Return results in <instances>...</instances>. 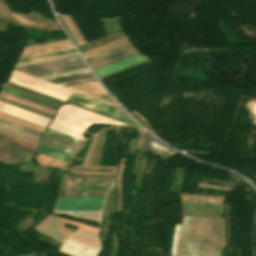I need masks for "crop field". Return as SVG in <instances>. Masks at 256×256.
Instances as JSON below:
<instances>
[{"label": "crop field", "instance_id": "18", "mask_svg": "<svg viewBox=\"0 0 256 256\" xmlns=\"http://www.w3.org/2000/svg\"><path fill=\"white\" fill-rule=\"evenodd\" d=\"M108 191H64V195L106 196Z\"/></svg>", "mask_w": 256, "mask_h": 256}, {"label": "crop field", "instance_id": "3", "mask_svg": "<svg viewBox=\"0 0 256 256\" xmlns=\"http://www.w3.org/2000/svg\"><path fill=\"white\" fill-rule=\"evenodd\" d=\"M68 102L80 105L82 107L88 108L90 110L96 111L98 113L131 123L135 126H138L133 120H131L123 111L118 110L110 105L105 103L93 100L91 98L82 96L80 94L75 93ZM139 127V126H138Z\"/></svg>", "mask_w": 256, "mask_h": 256}, {"label": "crop field", "instance_id": "6", "mask_svg": "<svg viewBox=\"0 0 256 256\" xmlns=\"http://www.w3.org/2000/svg\"><path fill=\"white\" fill-rule=\"evenodd\" d=\"M105 199L58 198L54 210L101 211Z\"/></svg>", "mask_w": 256, "mask_h": 256}, {"label": "crop field", "instance_id": "5", "mask_svg": "<svg viewBox=\"0 0 256 256\" xmlns=\"http://www.w3.org/2000/svg\"><path fill=\"white\" fill-rule=\"evenodd\" d=\"M84 65L85 63L82 61L80 56H77V57L39 63V64H34L29 66L18 67V68H15V70L25 72L31 75H35V74H41V73L68 69V68L84 66Z\"/></svg>", "mask_w": 256, "mask_h": 256}, {"label": "crop field", "instance_id": "16", "mask_svg": "<svg viewBox=\"0 0 256 256\" xmlns=\"http://www.w3.org/2000/svg\"><path fill=\"white\" fill-rule=\"evenodd\" d=\"M24 30L56 31L61 30L58 25H21Z\"/></svg>", "mask_w": 256, "mask_h": 256}, {"label": "crop field", "instance_id": "8", "mask_svg": "<svg viewBox=\"0 0 256 256\" xmlns=\"http://www.w3.org/2000/svg\"><path fill=\"white\" fill-rule=\"evenodd\" d=\"M114 179H68L64 190H110Z\"/></svg>", "mask_w": 256, "mask_h": 256}, {"label": "crop field", "instance_id": "19", "mask_svg": "<svg viewBox=\"0 0 256 256\" xmlns=\"http://www.w3.org/2000/svg\"><path fill=\"white\" fill-rule=\"evenodd\" d=\"M182 206L220 209V205L182 203Z\"/></svg>", "mask_w": 256, "mask_h": 256}, {"label": "crop field", "instance_id": "15", "mask_svg": "<svg viewBox=\"0 0 256 256\" xmlns=\"http://www.w3.org/2000/svg\"><path fill=\"white\" fill-rule=\"evenodd\" d=\"M10 82H13V83H16L18 85H21V86H24V87H27V88H30L32 90H35V91H38V92H41V93H44L46 95H49V96H52V97H55V98H58L60 100H63L65 101L67 99V97H64L62 95H59V94H56V93H53L51 91H48V90H45V89H42V88H39L37 86H34V85H31V84H28L26 82H23V81H20V80H17L15 78H10L9 80Z\"/></svg>", "mask_w": 256, "mask_h": 256}, {"label": "crop field", "instance_id": "21", "mask_svg": "<svg viewBox=\"0 0 256 256\" xmlns=\"http://www.w3.org/2000/svg\"><path fill=\"white\" fill-rule=\"evenodd\" d=\"M94 79L95 78L81 80V81H75V82H70V83H65V84H59V85L62 86V87H66V86H71V85H76V84H81V83H86V82L94 81Z\"/></svg>", "mask_w": 256, "mask_h": 256}, {"label": "crop field", "instance_id": "20", "mask_svg": "<svg viewBox=\"0 0 256 256\" xmlns=\"http://www.w3.org/2000/svg\"><path fill=\"white\" fill-rule=\"evenodd\" d=\"M0 14L3 15L4 17H6L7 19L13 17L8 9L4 6L3 2L0 0Z\"/></svg>", "mask_w": 256, "mask_h": 256}, {"label": "crop field", "instance_id": "14", "mask_svg": "<svg viewBox=\"0 0 256 256\" xmlns=\"http://www.w3.org/2000/svg\"><path fill=\"white\" fill-rule=\"evenodd\" d=\"M134 50H136V48H135L134 45H132V46H129V47H127V48L121 49V50H119V51H116V52L110 53V54H108V55L102 56V57H100V58L94 59V60H92V61H89L88 63H89V65H90V67H92V66H94V65L100 64V63H102V62H105V61H107V60L113 59V58H115V57L121 56V55H123V54H126V53L131 52V51H134ZM136 51H137V50H136Z\"/></svg>", "mask_w": 256, "mask_h": 256}, {"label": "crop field", "instance_id": "17", "mask_svg": "<svg viewBox=\"0 0 256 256\" xmlns=\"http://www.w3.org/2000/svg\"><path fill=\"white\" fill-rule=\"evenodd\" d=\"M75 52H76L75 49H72V50H66V51L44 54V55H39V56H33V57H28V58H22V59L19 60L18 63L31 61V60L42 59V58H48V57H53V56H58V55H64V54H69V53H75Z\"/></svg>", "mask_w": 256, "mask_h": 256}, {"label": "crop field", "instance_id": "10", "mask_svg": "<svg viewBox=\"0 0 256 256\" xmlns=\"http://www.w3.org/2000/svg\"><path fill=\"white\" fill-rule=\"evenodd\" d=\"M12 77H15L17 79L26 81L28 83H31V84H34V85H37V86H40L42 88L51 90L53 92L62 94V95L67 96V97H69L73 93L72 91L66 90L64 88L46 83L44 81L29 77V76H26V75L18 73V72H13Z\"/></svg>", "mask_w": 256, "mask_h": 256}, {"label": "crop field", "instance_id": "4", "mask_svg": "<svg viewBox=\"0 0 256 256\" xmlns=\"http://www.w3.org/2000/svg\"><path fill=\"white\" fill-rule=\"evenodd\" d=\"M35 150L0 138V162L5 164L27 162L33 159Z\"/></svg>", "mask_w": 256, "mask_h": 256}, {"label": "crop field", "instance_id": "12", "mask_svg": "<svg viewBox=\"0 0 256 256\" xmlns=\"http://www.w3.org/2000/svg\"><path fill=\"white\" fill-rule=\"evenodd\" d=\"M0 126L11 129L13 131L37 138L40 136L41 132H38L36 130L27 128L25 126L16 124L14 122L8 121L6 119L0 118Z\"/></svg>", "mask_w": 256, "mask_h": 256}, {"label": "crop field", "instance_id": "11", "mask_svg": "<svg viewBox=\"0 0 256 256\" xmlns=\"http://www.w3.org/2000/svg\"><path fill=\"white\" fill-rule=\"evenodd\" d=\"M145 59H147V58L144 57L143 55L139 54V55H136L134 57L125 59L123 61L111 64V65L103 67V68H100L98 70H95L94 72L97 74L98 77H100L102 75L108 74L110 72L116 71L118 69L124 68L126 66H129L131 64L137 63V62L145 60Z\"/></svg>", "mask_w": 256, "mask_h": 256}, {"label": "crop field", "instance_id": "7", "mask_svg": "<svg viewBox=\"0 0 256 256\" xmlns=\"http://www.w3.org/2000/svg\"><path fill=\"white\" fill-rule=\"evenodd\" d=\"M138 149L158 155L164 160H167L175 153H177L168 146H166L165 144L158 141L152 135L144 131H142V140L139 144Z\"/></svg>", "mask_w": 256, "mask_h": 256}, {"label": "crop field", "instance_id": "13", "mask_svg": "<svg viewBox=\"0 0 256 256\" xmlns=\"http://www.w3.org/2000/svg\"><path fill=\"white\" fill-rule=\"evenodd\" d=\"M39 152L43 153V154H46L48 156L60 159V160L65 161V162H67L72 157L71 154H68L66 152L57 150V149L49 147V146H46V145L41 144V143H40Z\"/></svg>", "mask_w": 256, "mask_h": 256}, {"label": "crop field", "instance_id": "9", "mask_svg": "<svg viewBox=\"0 0 256 256\" xmlns=\"http://www.w3.org/2000/svg\"><path fill=\"white\" fill-rule=\"evenodd\" d=\"M0 110L7 112L9 114L33 121L35 123L41 124L46 126L48 124V122L50 121V119L44 118L42 116L24 111L22 109L7 105L5 103L0 102Z\"/></svg>", "mask_w": 256, "mask_h": 256}, {"label": "crop field", "instance_id": "2", "mask_svg": "<svg viewBox=\"0 0 256 256\" xmlns=\"http://www.w3.org/2000/svg\"><path fill=\"white\" fill-rule=\"evenodd\" d=\"M95 123L124 124L75 106L65 105L60 107L50 128L83 140L81 133Z\"/></svg>", "mask_w": 256, "mask_h": 256}, {"label": "crop field", "instance_id": "1", "mask_svg": "<svg viewBox=\"0 0 256 256\" xmlns=\"http://www.w3.org/2000/svg\"><path fill=\"white\" fill-rule=\"evenodd\" d=\"M221 220L184 217L175 256H220Z\"/></svg>", "mask_w": 256, "mask_h": 256}]
</instances>
